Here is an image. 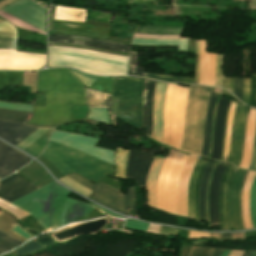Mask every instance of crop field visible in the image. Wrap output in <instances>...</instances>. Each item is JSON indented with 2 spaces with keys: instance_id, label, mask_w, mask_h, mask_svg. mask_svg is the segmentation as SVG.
I'll use <instances>...</instances> for the list:
<instances>
[{
  "instance_id": "d8731c3e",
  "label": "crop field",
  "mask_w": 256,
  "mask_h": 256,
  "mask_svg": "<svg viewBox=\"0 0 256 256\" xmlns=\"http://www.w3.org/2000/svg\"><path fill=\"white\" fill-rule=\"evenodd\" d=\"M2 10L42 29H46V9L40 7L39 5L29 1V0H19ZM0 16L6 19L8 22L12 23L13 26L23 28L26 30L34 31L37 33L45 34V32L3 12L0 10Z\"/></svg>"
},
{
  "instance_id": "78b8030e",
  "label": "crop field",
  "mask_w": 256,
  "mask_h": 256,
  "mask_svg": "<svg viewBox=\"0 0 256 256\" xmlns=\"http://www.w3.org/2000/svg\"><path fill=\"white\" fill-rule=\"evenodd\" d=\"M223 250H216L213 256H220Z\"/></svg>"
},
{
  "instance_id": "c035e120",
  "label": "crop field",
  "mask_w": 256,
  "mask_h": 256,
  "mask_svg": "<svg viewBox=\"0 0 256 256\" xmlns=\"http://www.w3.org/2000/svg\"><path fill=\"white\" fill-rule=\"evenodd\" d=\"M145 77L149 78H154V79H159L163 81H168V82H178L182 83L183 77H178V76H168V75H158V74H148L144 73Z\"/></svg>"
},
{
  "instance_id": "214f88e0",
  "label": "crop field",
  "mask_w": 256,
  "mask_h": 256,
  "mask_svg": "<svg viewBox=\"0 0 256 256\" xmlns=\"http://www.w3.org/2000/svg\"><path fill=\"white\" fill-rule=\"evenodd\" d=\"M206 164L204 160H197L193 173L190 177L189 190H188V216L198 220V206L197 195L199 180L202 174V170Z\"/></svg>"
},
{
  "instance_id": "ae1a2a85",
  "label": "crop field",
  "mask_w": 256,
  "mask_h": 256,
  "mask_svg": "<svg viewBox=\"0 0 256 256\" xmlns=\"http://www.w3.org/2000/svg\"><path fill=\"white\" fill-rule=\"evenodd\" d=\"M52 42L78 44V45H84V46H89V47H95V48H101V49L125 52V53H128V50H129V48H126V47L100 44V43H95V42H91V41L49 37L48 46H52Z\"/></svg>"
},
{
  "instance_id": "c39391a2",
  "label": "crop field",
  "mask_w": 256,
  "mask_h": 256,
  "mask_svg": "<svg viewBox=\"0 0 256 256\" xmlns=\"http://www.w3.org/2000/svg\"><path fill=\"white\" fill-rule=\"evenodd\" d=\"M225 77L223 76V87H224Z\"/></svg>"
},
{
  "instance_id": "00972430",
  "label": "crop field",
  "mask_w": 256,
  "mask_h": 256,
  "mask_svg": "<svg viewBox=\"0 0 256 256\" xmlns=\"http://www.w3.org/2000/svg\"><path fill=\"white\" fill-rule=\"evenodd\" d=\"M155 81L145 79L142 106L143 127H146L145 134L150 136L152 129V98Z\"/></svg>"
},
{
  "instance_id": "89e229c0",
  "label": "crop field",
  "mask_w": 256,
  "mask_h": 256,
  "mask_svg": "<svg viewBox=\"0 0 256 256\" xmlns=\"http://www.w3.org/2000/svg\"><path fill=\"white\" fill-rule=\"evenodd\" d=\"M251 170H256V129H255V137H254V147H253V156L250 164Z\"/></svg>"
},
{
  "instance_id": "b80d0937",
  "label": "crop field",
  "mask_w": 256,
  "mask_h": 256,
  "mask_svg": "<svg viewBox=\"0 0 256 256\" xmlns=\"http://www.w3.org/2000/svg\"><path fill=\"white\" fill-rule=\"evenodd\" d=\"M215 249L213 248H200L192 246L189 256H212Z\"/></svg>"
},
{
  "instance_id": "ade564c9",
  "label": "crop field",
  "mask_w": 256,
  "mask_h": 256,
  "mask_svg": "<svg viewBox=\"0 0 256 256\" xmlns=\"http://www.w3.org/2000/svg\"><path fill=\"white\" fill-rule=\"evenodd\" d=\"M0 254H2V253H0Z\"/></svg>"
},
{
  "instance_id": "7b73153f",
  "label": "crop field",
  "mask_w": 256,
  "mask_h": 256,
  "mask_svg": "<svg viewBox=\"0 0 256 256\" xmlns=\"http://www.w3.org/2000/svg\"><path fill=\"white\" fill-rule=\"evenodd\" d=\"M249 110L250 109H248V113H249ZM248 113H247V116H248ZM247 116H246V120H247ZM245 126H246V121H245ZM245 126H244V136H245ZM243 143H244V138H243ZM242 151H243V145H242ZM242 151H241V156H242ZM240 160H241V157H240ZM239 165H240V162L238 164V167H239Z\"/></svg>"
},
{
  "instance_id": "447ae74e",
  "label": "crop field",
  "mask_w": 256,
  "mask_h": 256,
  "mask_svg": "<svg viewBox=\"0 0 256 256\" xmlns=\"http://www.w3.org/2000/svg\"><path fill=\"white\" fill-rule=\"evenodd\" d=\"M243 252L241 251H231L229 256H242Z\"/></svg>"
},
{
  "instance_id": "5a996713",
  "label": "crop field",
  "mask_w": 256,
  "mask_h": 256,
  "mask_svg": "<svg viewBox=\"0 0 256 256\" xmlns=\"http://www.w3.org/2000/svg\"><path fill=\"white\" fill-rule=\"evenodd\" d=\"M68 176L75 179L84 186L90 188L91 190L95 191L96 193L92 199L93 201L101 205L107 206L115 211L121 212L125 215L127 214L128 208L133 209L135 201L134 187H128L129 193L128 195H126L107 186L102 182L99 185H96L75 173Z\"/></svg>"
},
{
  "instance_id": "e52e79f7",
  "label": "crop field",
  "mask_w": 256,
  "mask_h": 256,
  "mask_svg": "<svg viewBox=\"0 0 256 256\" xmlns=\"http://www.w3.org/2000/svg\"><path fill=\"white\" fill-rule=\"evenodd\" d=\"M1 32L16 33L7 21L0 23ZM0 32V48L16 49L15 34ZM43 54L0 49V69L35 70L45 65Z\"/></svg>"
},
{
  "instance_id": "0fb4a251",
  "label": "crop field",
  "mask_w": 256,
  "mask_h": 256,
  "mask_svg": "<svg viewBox=\"0 0 256 256\" xmlns=\"http://www.w3.org/2000/svg\"><path fill=\"white\" fill-rule=\"evenodd\" d=\"M188 232L189 231H186V230H180V232H179L180 238L187 239Z\"/></svg>"
},
{
  "instance_id": "dafd665d",
  "label": "crop field",
  "mask_w": 256,
  "mask_h": 256,
  "mask_svg": "<svg viewBox=\"0 0 256 256\" xmlns=\"http://www.w3.org/2000/svg\"><path fill=\"white\" fill-rule=\"evenodd\" d=\"M247 109L248 108L240 104L238 108L237 116H236L232 153L229 159V163L235 166L237 165L240 157L242 138H243V126H244V120H245Z\"/></svg>"
},
{
  "instance_id": "eef30255",
  "label": "crop field",
  "mask_w": 256,
  "mask_h": 256,
  "mask_svg": "<svg viewBox=\"0 0 256 256\" xmlns=\"http://www.w3.org/2000/svg\"><path fill=\"white\" fill-rule=\"evenodd\" d=\"M216 95H209V102L206 112V119H205V129H204V138H203V145L201 154L202 156H208L209 147H210V136H211V124H212V114L213 108L216 101Z\"/></svg>"
},
{
  "instance_id": "5866460e",
  "label": "crop field",
  "mask_w": 256,
  "mask_h": 256,
  "mask_svg": "<svg viewBox=\"0 0 256 256\" xmlns=\"http://www.w3.org/2000/svg\"><path fill=\"white\" fill-rule=\"evenodd\" d=\"M112 79L98 77L90 87L91 89L99 90L111 94Z\"/></svg>"
},
{
  "instance_id": "22f410ed",
  "label": "crop field",
  "mask_w": 256,
  "mask_h": 256,
  "mask_svg": "<svg viewBox=\"0 0 256 256\" xmlns=\"http://www.w3.org/2000/svg\"><path fill=\"white\" fill-rule=\"evenodd\" d=\"M31 158L0 142V177L12 173L25 165Z\"/></svg>"
},
{
  "instance_id": "ac0d7876",
  "label": "crop field",
  "mask_w": 256,
  "mask_h": 256,
  "mask_svg": "<svg viewBox=\"0 0 256 256\" xmlns=\"http://www.w3.org/2000/svg\"><path fill=\"white\" fill-rule=\"evenodd\" d=\"M70 191L53 181L11 204L30 213L47 231H53L94 210L68 197Z\"/></svg>"
},
{
  "instance_id": "73cf0c24",
  "label": "crop field",
  "mask_w": 256,
  "mask_h": 256,
  "mask_svg": "<svg viewBox=\"0 0 256 256\" xmlns=\"http://www.w3.org/2000/svg\"><path fill=\"white\" fill-rule=\"evenodd\" d=\"M177 232L176 229L160 226L159 235H175Z\"/></svg>"
},
{
  "instance_id": "0bd39190",
  "label": "crop field",
  "mask_w": 256,
  "mask_h": 256,
  "mask_svg": "<svg viewBox=\"0 0 256 256\" xmlns=\"http://www.w3.org/2000/svg\"><path fill=\"white\" fill-rule=\"evenodd\" d=\"M137 52H130L128 75L142 76L144 68L136 66Z\"/></svg>"
},
{
  "instance_id": "5142ce71",
  "label": "crop field",
  "mask_w": 256,
  "mask_h": 256,
  "mask_svg": "<svg viewBox=\"0 0 256 256\" xmlns=\"http://www.w3.org/2000/svg\"><path fill=\"white\" fill-rule=\"evenodd\" d=\"M216 53L207 51V39H200V75L198 84L214 86Z\"/></svg>"
},
{
  "instance_id": "d32e631a",
  "label": "crop field",
  "mask_w": 256,
  "mask_h": 256,
  "mask_svg": "<svg viewBox=\"0 0 256 256\" xmlns=\"http://www.w3.org/2000/svg\"><path fill=\"white\" fill-rule=\"evenodd\" d=\"M26 112L0 109V118L10 121L24 122Z\"/></svg>"
},
{
  "instance_id": "28ad6ade",
  "label": "crop field",
  "mask_w": 256,
  "mask_h": 256,
  "mask_svg": "<svg viewBox=\"0 0 256 256\" xmlns=\"http://www.w3.org/2000/svg\"><path fill=\"white\" fill-rule=\"evenodd\" d=\"M143 79L113 77L112 96L141 102Z\"/></svg>"
},
{
  "instance_id": "d1516ede",
  "label": "crop field",
  "mask_w": 256,
  "mask_h": 256,
  "mask_svg": "<svg viewBox=\"0 0 256 256\" xmlns=\"http://www.w3.org/2000/svg\"><path fill=\"white\" fill-rule=\"evenodd\" d=\"M0 183V198L9 203L37 189L16 173Z\"/></svg>"
},
{
  "instance_id": "733c2abd",
  "label": "crop field",
  "mask_w": 256,
  "mask_h": 256,
  "mask_svg": "<svg viewBox=\"0 0 256 256\" xmlns=\"http://www.w3.org/2000/svg\"><path fill=\"white\" fill-rule=\"evenodd\" d=\"M197 158L196 156L190 155L181 172L177 194V214L180 215L187 216L188 182Z\"/></svg>"
},
{
  "instance_id": "d3111659",
  "label": "crop field",
  "mask_w": 256,
  "mask_h": 256,
  "mask_svg": "<svg viewBox=\"0 0 256 256\" xmlns=\"http://www.w3.org/2000/svg\"><path fill=\"white\" fill-rule=\"evenodd\" d=\"M256 173L249 172L242 194V216L245 229H251V220L249 216V189Z\"/></svg>"
},
{
  "instance_id": "1d83c4d3",
  "label": "crop field",
  "mask_w": 256,
  "mask_h": 256,
  "mask_svg": "<svg viewBox=\"0 0 256 256\" xmlns=\"http://www.w3.org/2000/svg\"><path fill=\"white\" fill-rule=\"evenodd\" d=\"M4 213H6V212L0 209V215H2ZM20 244H22V243L14 240L11 237L0 232V252H2V253L7 252Z\"/></svg>"
},
{
  "instance_id": "34b2d1b8",
  "label": "crop field",
  "mask_w": 256,
  "mask_h": 256,
  "mask_svg": "<svg viewBox=\"0 0 256 256\" xmlns=\"http://www.w3.org/2000/svg\"><path fill=\"white\" fill-rule=\"evenodd\" d=\"M41 155L64 176L76 172L98 184L107 174H114L113 166L63 145L49 142Z\"/></svg>"
},
{
  "instance_id": "a9b5d70f",
  "label": "crop field",
  "mask_w": 256,
  "mask_h": 256,
  "mask_svg": "<svg viewBox=\"0 0 256 256\" xmlns=\"http://www.w3.org/2000/svg\"><path fill=\"white\" fill-rule=\"evenodd\" d=\"M255 121H256V111L251 109L248 122H247V127H246L244 151H243V157H242L241 166H240L246 169H248L249 162H250L253 137H254V129H255Z\"/></svg>"
},
{
  "instance_id": "0f1d7ab4",
  "label": "crop field",
  "mask_w": 256,
  "mask_h": 256,
  "mask_svg": "<svg viewBox=\"0 0 256 256\" xmlns=\"http://www.w3.org/2000/svg\"><path fill=\"white\" fill-rule=\"evenodd\" d=\"M221 238H231V233L222 234Z\"/></svg>"
},
{
  "instance_id": "4177f3b9",
  "label": "crop field",
  "mask_w": 256,
  "mask_h": 256,
  "mask_svg": "<svg viewBox=\"0 0 256 256\" xmlns=\"http://www.w3.org/2000/svg\"><path fill=\"white\" fill-rule=\"evenodd\" d=\"M54 29L77 30L109 36L110 28L68 21H54Z\"/></svg>"
},
{
  "instance_id": "9d1cf04e",
  "label": "crop field",
  "mask_w": 256,
  "mask_h": 256,
  "mask_svg": "<svg viewBox=\"0 0 256 256\" xmlns=\"http://www.w3.org/2000/svg\"><path fill=\"white\" fill-rule=\"evenodd\" d=\"M89 204H91V203H89ZM92 206H93V205H92ZM95 206H96V205H95ZM96 207H98V206H96ZM98 208L101 209L102 211H104L106 214H108V215H110V216H114V217H118V218H124V217H122V216H119V215L110 213V212H108V211H106V210H104V209H102V208H100V207H98Z\"/></svg>"
},
{
  "instance_id": "bd1437ed",
  "label": "crop field",
  "mask_w": 256,
  "mask_h": 256,
  "mask_svg": "<svg viewBox=\"0 0 256 256\" xmlns=\"http://www.w3.org/2000/svg\"><path fill=\"white\" fill-rule=\"evenodd\" d=\"M127 154H128V150L118 147L117 153L115 156V160H116L115 177L124 178Z\"/></svg>"
},
{
  "instance_id": "25e5ab78",
  "label": "crop field",
  "mask_w": 256,
  "mask_h": 256,
  "mask_svg": "<svg viewBox=\"0 0 256 256\" xmlns=\"http://www.w3.org/2000/svg\"><path fill=\"white\" fill-rule=\"evenodd\" d=\"M188 238H191V239L210 238V234L209 233H204V232L190 231Z\"/></svg>"
},
{
  "instance_id": "e1d0b9f6",
  "label": "crop field",
  "mask_w": 256,
  "mask_h": 256,
  "mask_svg": "<svg viewBox=\"0 0 256 256\" xmlns=\"http://www.w3.org/2000/svg\"><path fill=\"white\" fill-rule=\"evenodd\" d=\"M229 253H230V251L224 250V252H223V254L221 256H228Z\"/></svg>"
},
{
  "instance_id": "4a817a6b",
  "label": "crop field",
  "mask_w": 256,
  "mask_h": 256,
  "mask_svg": "<svg viewBox=\"0 0 256 256\" xmlns=\"http://www.w3.org/2000/svg\"><path fill=\"white\" fill-rule=\"evenodd\" d=\"M245 171L244 169H237L230 188V217L231 227L234 229H242L239 217V195Z\"/></svg>"
},
{
  "instance_id": "425ffa30",
  "label": "crop field",
  "mask_w": 256,
  "mask_h": 256,
  "mask_svg": "<svg viewBox=\"0 0 256 256\" xmlns=\"http://www.w3.org/2000/svg\"><path fill=\"white\" fill-rule=\"evenodd\" d=\"M230 101H229V103H230ZM234 103H236V102H234ZM236 104H237V107H236V111H237V108H238L239 104L238 103H236ZM228 107H229V104H228ZM227 114H228V108H227ZM227 114H226V123H227ZM235 115H236V112H235ZM234 122H235V116H234ZM234 122H233V130H234ZM233 130H232V138H233ZM225 132H226V124H225ZM232 138H231V146H232ZM224 140H225V133H224ZM224 140H223V147H224ZM231 146H230V153H231ZM223 147H222V153H223ZM222 153H221L220 160L227 162L229 157H230V153H229V157L228 158L222 157Z\"/></svg>"
},
{
  "instance_id": "e1f06a70",
  "label": "crop field",
  "mask_w": 256,
  "mask_h": 256,
  "mask_svg": "<svg viewBox=\"0 0 256 256\" xmlns=\"http://www.w3.org/2000/svg\"><path fill=\"white\" fill-rule=\"evenodd\" d=\"M250 216H251L253 228H256V176L251 187Z\"/></svg>"
},
{
  "instance_id": "db79e9e6",
  "label": "crop field",
  "mask_w": 256,
  "mask_h": 256,
  "mask_svg": "<svg viewBox=\"0 0 256 256\" xmlns=\"http://www.w3.org/2000/svg\"><path fill=\"white\" fill-rule=\"evenodd\" d=\"M247 173L248 172H246L245 179H246ZM245 179H244V182H245ZM244 182H243V184H244ZM243 184H242V187H243ZM241 194H242V189H241ZM240 216H241V195H240ZM241 223H242V227H243L242 216H241ZM243 229H244V227H243Z\"/></svg>"
},
{
  "instance_id": "028f5c9d",
  "label": "crop field",
  "mask_w": 256,
  "mask_h": 256,
  "mask_svg": "<svg viewBox=\"0 0 256 256\" xmlns=\"http://www.w3.org/2000/svg\"><path fill=\"white\" fill-rule=\"evenodd\" d=\"M49 133V132H48ZM47 134H45L41 139H39L35 144L31 147L27 148L26 152L30 153L31 155L37 157L40 153L43 152L45 147L47 146Z\"/></svg>"
},
{
  "instance_id": "d14b1444",
  "label": "crop field",
  "mask_w": 256,
  "mask_h": 256,
  "mask_svg": "<svg viewBox=\"0 0 256 256\" xmlns=\"http://www.w3.org/2000/svg\"><path fill=\"white\" fill-rule=\"evenodd\" d=\"M250 252H244L243 256H249Z\"/></svg>"
},
{
  "instance_id": "03da06ac",
  "label": "crop field",
  "mask_w": 256,
  "mask_h": 256,
  "mask_svg": "<svg viewBox=\"0 0 256 256\" xmlns=\"http://www.w3.org/2000/svg\"><path fill=\"white\" fill-rule=\"evenodd\" d=\"M148 225L149 224H147V223H141V222H137V221H133V220H127L124 228L147 232Z\"/></svg>"
},
{
  "instance_id": "5d738f31",
  "label": "crop field",
  "mask_w": 256,
  "mask_h": 256,
  "mask_svg": "<svg viewBox=\"0 0 256 256\" xmlns=\"http://www.w3.org/2000/svg\"><path fill=\"white\" fill-rule=\"evenodd\" d=\"M250 92V78H243V100L242 102L248 105Z\"/></svg>"
},
{
  "instance_id": "750c4746",
  "label": "crop field",
  "mask_w": 256,
  "mask_h": 256,
  "mask_svg": "<svg viewBox=\"0 0 256 256\" xmlns=\"http://www.w3.org/2000/svg\"><path fill=\"white\" fill-rule=\"evenodd\" d=\"M89 108L108 107L111 113V96L108 94L86 89Z\"/></svg>"
},
{
  "instance_id": "1f2cbd36",
  "label": "crop field",
  "mask_w": 256,
  "mask_h": 256,
  "mask_svg": "<svg viewBox=\"0 0 256 256\" xmlns=\"http://www.w3.org/2000/svg\"><path fill=\"white\" fill-rule=\"evenodd\" d=\"M49 36H55V37H72V38L85 39V40H91V41H96V42H102V43H107V44H113V45H120V46L129 47L128 45H122V44H117V43H112V42H106V41H101V40H95V39H89V38L78 37V36H59V35H49Z\"/></svg>"
},
{
  "instance_id": "c5b07064",
  "label": "crop field",
  "mask_w": 256,
  "mask_h": 256,
  "mask_svg": "<svg viewBox=\"0 0 256 256\" xmlns=\"http://www.w3.org/2000/svg\"><path fill=\"white\" fill-rule=\"evenodd\" d=\"M1 1V0H0Z\"/></svg>"
},
{
  "instance_id": "d9b57169",
  "label": "crop field",
  "mask_w": 256,
  "mask_h": 256,
  "mask_svg": "<svg viewBox=\"0 0 256 256\" xmlns=\"http://www.w3.org/2000/svg\"><path fill=\"white\" fill-rule=\"evenodd\" d=\"M228 99L220 97L218 108L215 116L214 124V138L211 157L212 159H219L222 147L223 132H224V123H225V114L228 104Z\"/></svg>"
},
{
  "instance_id": "0765c3eb",
  "label": "crop field",
  "mask_w": 256,
  "mask_h": 256,
  "mask_svg": "<svg viewBox=\"0 0 256 256\" xmlns=\"http://www.w3.org/2000/svg\"><path fill=\"white\" fill-rule=\"evenodd\" d=\"M215 166H216V164H215ZM215 166H214V168H215ZM214 168H213V170H214ZM212 173H213V171H212ZM212 173L210 175V180L212 177ZM210 180H209V183H210ZM208 190H209V185H208ZM207 213H208V191H207ZM208 225H209V213H208Z\"/></svg>"
},
{
  "instance_id": "ae633e8c",
  "label": "crop field",
  "mask_w": 256,
  "mask_h": 256,
  "mask_svg": "<svg viewBox=\"0 0 256 256\" xmlns=\"http://www.w3.org/2000/svg\"><path fill=\"white\" fill-rule=\"evenodd\" d=\"M250 256H256V251H252Z\"/></svg>"
},
{
  "instance_id": "730fd06b",
  "label": "crop field",
  "mask_w": 256,
  "mask_h": 256,
  "mask_svg": "<svg viewBox=\"0 0 256 256\" xmlns=\"http://www.w3.org/2000/svg\"><path fill=\"white\" fill-rule=\"evenodd\" d=\"M215 163L207 162L203 174L201 176L200 188H199V196H198V206H199V220L207 222V214H206V190L209 175L212 171V168Z\"/></svg>"
},
{
  "instance_id": "1d79db26",
  "label": "crop field",
  "mask_w": 256,
  "mask_h": 256,
  "mask_svg": "<svg viewBox=\"0 0 256 256\" xmlns=\"http://www.w3.org/2000/svg\"><path fill=\"white\" fill-rule=\"evenodd\" d=\"M218 99H219V96H218V98H217L216 105H215V109H214L213 124H214V116H215V112H216V108H217ZM213 124H212V138H213ZM211 145H212V139H211ZM210 151H211V147H210ZM209 156H210V153H209ZM209 156H208V157H209Z\"/></svg>"
},
{
  "instance_id": "bc2a9ffb",
  "label": "crop field",
  "mask_w": 256,
  "mask_h": 256,
  "mask_svg": "<svg viewBox=\"0 0 256 256\" xmlns=\"http://www.w3.org/2000/svg\"><path fill=\"white\" fill-rule=\"evenodd\" d=\"M36 128L24 124L0 120V138L17 144L27 137Z\"/></svg>"
},
{
  "instance_id": "92a150f3",
  "label": "crop field",
  "mask_w": 256,
  "mask_h": 256,
  "mask_svg": "<svg viewBox=\"0 0 256 256\" xmlns=\"http://www.w3.org/2000/svg\"><path fill=\"white\" fill-rule=\"evenodd\" d=\"M224 165L218 164L211 183L209 191V213H210V226H219V216H218V190L219 183L221 181L222 174L225 170Z\"/></svg>"
},
{
  "instance_id": "d23c7cc5",
  "label": "crop field",
  "mask_w": 256,
  "mask_h": 256,
  "mask_svg": "<svg viewBox=\"0 0 256 256\" xmlns=\"http://www.w3.org/2000/svg\"><path fill=\"white\" fill-rule=\"evenodd\" d=\"M233 94L241 100V98H242V79L234 78Z\"/></svg>"
},
{
  "instance_id": "412701ff",
  "label": "crop field",
  "mask_w": 256,
  "mask_h": 256,
  "mask_svg": "<svg viewBox=\"0 0 256 256\" xmlns=\"http://www.w3.org/2000/svg\"><path fill=\"white\" fill-rule=\"evenodd\" d=\"M209 90L208 87L190 86L181 151L200 154Z\"/></svg>"
},
{
  "instance_id": "b54c1fbb",
  "label": "crop field",
  "mask_w": 256,
  "mask_h": 256,
  "mask_svg": "<svg viewBox=\"0 0 256 256\" xmlns=\"http://www.w3.org/2000/svg\"><path fill=\"white\" fill-rule=\"evenodd\" d=\"M250 106L256 108V74H251V99Z\"/></svg>"
},
{
  "instance_id": "dbb93151",
  "label": "crop field",
  "mask_w": 256,
  "mask_h": 256,
  "mask_svg": "<svg viewBox=\"0 0 256 256\" xmlns=\"http://www.w3.org/2000/svg\"><path fill=\"white\" fill-rule=\"evenodd\" d=\"M199 75V40H197V63H196V75L193 84H197Z\"/></svg>"
},
{
  "instance_id": "8a807250",
  "label": "crop field",
  "mask_w": 256,
  "mask_h": 256,
  "mask_svg": "<svg viewBox=\"0 0 256 256\" xmlns=\"http://www.w3.org/2000/svg\"><path fill=\"white\" fill-rule=\"evenodd\" d=\"M37 92H45V105L35 106L27 124L52 127L71 119V105H87L84 86L68 68L39 72Z\"/></svg>"
},
{
  "instance_id": "f4fd0767",
  "label": "crop field",
  "mask_w": 256,
  "mask_h": 256,
  "mask_svg": "<svg viewBox=\"0 0 256 256\" xmlns=\"http://www.w3.org/2000/svg\"><path fill=\"white\" fill-rule=\"evenodd\" d=\"M187 158L188 154L171 149L164 160L156 188L157 208L176 214L178 180Z\"/></svg>"
},
{
  "instance_id": "c21b1889",
  "label": "crop field",
  "mask_w": 256,
  "mask_h": 256,
  "mask_svg": "<svg viewBox=\"0 0 256 256\" xmlns=\"http://www.w3.org/2000/svg\"><path fill=\"white\" fill-rule=\"evenodd\" d=\"M73 74L82 82L84 83L88 88L90 87V85L95 81V79L97 78L96 76H92V75H87V74H83L77 70H73L70 69Z\"/></svg>"
},
{
  "instance_id": "dd49c442",
  "label": "crop field",
  "mask_w": 256,
  "mask_h": 256,
  "mask_svg": "<svg viewBox=\"0 0 256 256\" xmlns=\"http://www.w3.org/2000/svg\"><path fill=\"white\" fill-rule=\"evenodd\" d=\"M189 88L168 85L165 98L163 143L180 148L185 105Z\"/></svg>"
},
{
  "instance_id": "cbeb9de0",
  "label": "crop field",
  "mask_w": 256,
  "mask_h": 256,
  "mask_svg": "<svg viewBox=\"0 0 256 256\" xmlns=\"http://www.w3.org/2000/svg\"><path fill=\"white\" fill-rule=\"evenodd\" d=\"M237 168L227 166L223 174L220 191H219V215L221 222V230H230L229 218V188L232 177Z\"/></svg>"
},
{
  "instance_id": "3316defc",
  "label": "crop field",
  "mask_w": 256,
  "mask_h": 256,
  "mask_svg": "<svg viewBox=\"0 0 256 256\" xmlns=\"http://www.w3.org/2000/svg\"><path fill=\"white\" fill-rule=\"evenodd\" d=\"M154 156L129 151L125 178L136 179L139 186L145 188L146 176Z\"/></svg>"
},
{
  "instance_id": "120bbe31",
  "label": "crop field",
  "mask_w": 256,
  "mask_h": 256,
  "mask_svg": "<svg viewBox=\"0 0 256 256\" xmlns=\"http://www.w3.org/2000/svg\"><path fill=\"white\" fill-rule=\"evenodd\" d=\"M182 28L139 27L137 32L149 34H179Z\"/></svg>"
}]
</instances>
